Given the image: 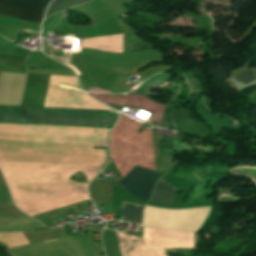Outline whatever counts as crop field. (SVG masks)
Returning <instances> with one entry per match:
<instances>
[{"instance_id":"8","label":"crop field","mask_w":256,"mask_h":256,"mask_svg":"<svg viewBox=\"0 0 256 256\" xmlns=\"http://www.w3.org/2000/svg\"><path fill=\"white\" fill-rule=\"evenodd\" d=\"M89 0H79L80 3L87 2ZM78 4V0H54L50 8L48 9L45 18L49 17L50 15L70 8Z\"/></svg>"},{"instance_id":"6","label":"crop field","mask_w":256,"mask_h":256,"mask_svg":"<svg viewBox=\"0 0 256 256\" xmlns=\"http://www.w3.org/2000/svg\"><path fill=\"white\" fill-rule=\"evenodd\" d=\"M25 59L23 57L0 55V71L26 73L23 67Z\"/></svg>"},{"instance_id":"9","label":"crop field","mask_w":256,"mask_h":256,"mask_svg":"<svg viewBox=\"0 0 256 256\" xmlns=\"http://www.w3.org/2000/svg\"><path fill=\"white\" fill-rule=\"evenodd\" d=\"M256 79V77L253 74V71H246L243 72L242 74H240L238 77H236L235 80L242 82L244 84H248L252 81H254Z\"/></svg>"},{"instance_id":"7","label":"crop field","mask_w":256,"mask_h":256,"mask_svg":"<svg viewBox=\"0 0 256 256\" xmlns=\"http://www.w3.org/2000/svg\"><path fill=\"white\" fill-rule=\"evenodd\" d=\"M143 205L123 202L121 219L141 224Z\"/></svg>"},{"instance_id":"10","label":"crop field","mask_w":256,"mask_h":256,"mask_svg":"<svg viewBox=\"0 0 256 256\" xmlns=\"http://www.w3.org/2000/svg\"><path fill=\"white\" fill-rule=\"evenodd\" d=\"M59 240V239H58ZM51 241H55V240H51ZM47 242H50V241H47Z\"/></svg>"},{"instance_id":"5","label":"crop field","mask_w":256,"mask_h":256,"mask_svg":"<svg viewBox=\"0 0 256 256\" xmlns=\"http://www.w3.org/2000/svg\"><path fill=\"white\" fill-rule=\"evenodd\" d=\"M175 191L176 189L160 179L157 182L156 188L151 196L150 201L169 206Z\"/></svg>"},{"instance_id":"2","label":"crop field","mask_w":256,"mask_h":256,"mask_svg":"<svg viewBox=\"0 0 256 256\" xmlns=\"http://www.w3.org/2000/svg\"><path fill=\"white\" fill-rule=\"evenodd\" d=\"M155 181L156 172L134 166L119 184L135 198L148 202Z\"/></svg>"},{"instance_id":"11","label":"crop field","mask_w":256,"mask_h":256,"mask_svg":"<svg viewBox=\"0 0 256 256\" xmlns=\"http://www.w3.org/2000/svg\"><path fill=\"white\" fill-rule=\"evenodd\" d=\"M255 73H256V69H255Z\"/></svg>"},{"instance_id":"1","label":"crop field","mask_w":256,"mask_h":256,"mask_svg":"<svg viewBox=\"0 0 256 256\" xmlns=\"http://www.w3.org/2000/svg\"><path fill=\"white\" fill-rule=\"evenodd\" d=\"M112 112L114 114V118L116 121L117 114L113 110ZM112 112L102 111V110H83V109H65V108H32V107L0 106V114H7V115L113 120ZM7 115H0V121L102 125V126H113L114 124V121H105V120L26 117V116H7ZM0 123H13V122H0ZM13 124H35V123H13ZM35 125H57V124H35ZM57 126H79V125H57ZM79 127H101V126H79ZM101 128H111V127H101Z\"/></svg>"},{"instance_id":"3","label":"crop field","mask_w":256,"mask_h":256,"mask_svg":"<svg viewBox=\"0 0 256 256\" xmlns=\"http://www.w3.org/2000/svg\"><path fill=\"white\" fill-rule=\"evenodd\" d=\"M47 6L50 0H22ZM18 0H0V14L41 23L45 7Z\"/></svg>"},{"instance_id":"4","label":"crop field","mask_w":256,"mask_h":256,"mask_svg":"<svg viewBox=\"0 0 256 256\" xmlns=\"http://www.w3.org/2000/svg\"><path fill=\"white\" fill-rule=\"evenodd\" d=\"M49 77L28 74L21 106L43 107Z\"/></svg>"}]
</instances>
